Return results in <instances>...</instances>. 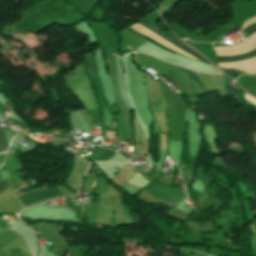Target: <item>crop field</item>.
Here are the masks:
<instances>
[{"mask_svg":"<svg viewBox=\"0 0 256 256\" xmlns=\"http://www.w3.org/2000/svg\"><path fill=\"white\" fill-rule=\"evenodd\" d=\"M140 24H142L144 27H146L147 29L151 30L153 33L157 34L158 36L162 37L163 39H165L166 41H168L169 43L183 49L184 51L192 54L194 57L198 58L200 61H204L206 63H209L205 58H203L200 54H198L197 52H195L194 50H192L191 48H189L188 46H186L185 44L181 43L180 41H178L177 39H175L174 37H172L171 35L159 30L158 28H156L154 25H152L150 22H148L146 19H143L139 22Z\"/></svg>","mask_w":256,"mask_h":256,"instance_id":"1","label":"crop field"},{"mask_svg":"<svg viewBox=\"0 0 256 256\" xmlns=\"http://www.w3.org/2000/svg\"><path fill=\"white\" fill-rule=\"evenodd\" d=\"M55 195H59V192L56 190V188H50L30 194H26L24 196L19 197V200L23 203V205H28L37 201H40L42 199L52 197Z\"/></svg>","mask_w":256,"mask_h":256,"instance_id":"2","label":"crop field"},{"mask_svg":"<svg viewBox=\"0 0 256 256\" xmlns=\"http://www.w3.org/2000/svg\"><path fill=\"white\" fill-rule=\"evenodd\" d=\"M243 31H244L245 33L249 34V35L252 34V33H254V32H256V24H253V25H251V26L246 27ZM255 35H256V33L253 34V35H251V36H249V38H250V37H253V36H255ZM254 56H256V51L250 52V53H248V54L236 56V57H217V61H218V62L234 61V60L245 59V58H250V57H254Z\"/></svg>","mask_w":256,"mask_h":256,"instance_id":"3","label":"crop field"},{"mask_svg":"<svg viewBox=\"0 0 256 256\" xmlns=\"http://www.w3.org/2000/svg\"><path fill=\"white\" fill-rule=\"evenodd\" d=\"M180 69L183 72V74L186 76L188 81H190L200 87H203L202 83L200 82V80L198 79V77L196 76V74L194 72H191V71H188V70H185L182 68H180Z\"/></svg>","mask_w":256,"mask_h":256,"instance_id":"4","label":"crop field"},{"mask_svg":"<svg viewBox=\"0 0 256 256\" xmlns=\"http://www.w3.org/2000/svg\"><path fill=\"white\" fill-rule=\"evenodd\" d=\"M7 150V141L5 132L0 131V152Z\"/></svg>","mask_w":256,"mask_h":256,"instance_id":"5","label":"crop field"},{"mask_svg":"<svg viewBox=\"0 0 256 256\" xmlns=\"http://www.w3.org/2000/svg\"><path fill=\"white\" fill-rule=\"evenodd\" d=\"M136 176L141 177V175L138 174V173L136 174ZM136 176L132 177L129 182L134 183V184H136V185H139V186H141V187H143L145 184L148 183V181H146V180H144V179H142V178L136 177Z\"/></svg>","mask_w":256,"mask_h":256,"instance_id":"6","label":"crop field"},{"mask_svg":"<svg viewBox=\"0 0 256 256\" xmlns=\"http://www.w3.org/2000/svg\"><path fill=\"white\" fill-rule=\"evenodd\" d=\"M154 108L156 112L165 111L163 98L154 101Z\"/></svg>","mask_w":256,"mask_h":256,"instance_id":"7","label":"crop field"},{"mask_svg":"<svg viewBox=\"0 0 256 256\" xmlns=\"http://www.w3.org/2000/svg\"><path fill=\"white\" fill-rule=\"evenodd\" d=\"M9 188H11L10 184H9V180H1L0 181V193H2L3 191H5Z\"/></svg>","mask_w":256,"mask_h":256,"instance_id":"8","label":"crop field"},{"mask_svg":"<svg viewBox=\"0 0 256 256\" xmlns=\"http://www.w3.org/2000/svg\"><path fill=\"white\" fill-rule=\"evenodd\" d=\"M10 256H23L22 249L7 250Z\"/></svg>","mask_w":256,"mask_h":256,"instance_id":"9","label":"crop field"},{"mask_svg":"<svg viewBox=\"0 0 256 256\" xmlns=\"http://www.w3.org/2000/svg\"><path fill=\"white\" fill-rule=\"evenodd\" d=\"M226 86H227L228 89L231 91V93H233L234 95L238 96V95L242 94L238 89H237V90H236L235 88L232 89L229 84H227ZM226 86H225V90H226L227 94H229L230 92H229V90L226 88Z\"/></svg>","mask_w":256,"mask_h":256,"instance_id":"10","label":"crop field"},{"mask_svg":"<svg viewBox=\"0 0 256 256\" xmlns=\"http://www.w3.org/2000/svg\"><path fill=\"white\" fill-rule=\"evenodd\" d=\"M226 73L232 75L233 77H237L240 73L236 72V71H230V70H225Z\"/></svg>","mask_w":256,"mask_h":256,"instance_id":"11","label":"crop field"},{"mask_svg":"<svg viewBox=\"0 0 256 256\" xmlns=\"http://www.w3.org/2000/svg\"><path fill=\"white\" fill-rule=\"evenodd\" d=\"M6 107H4L2 104H0V112L4 110Z\"/></svg>","mask_w":256,"mask_h":256,"instance_id":"12","label":"crop field"},{"mask_svg":"<svg viewBox=\"0 0 256 256\" xmlns=\"http://www.w3.org/2000/svg\"><path fill=\"white\" fill-rule=\"evenodd\" d=\"M126 46H128V45H126ZM129 48H131L130 46H128ZM131 49H133V48H131Z\"/></svg>","mask_w":256,"mask_h":256,"instance_id":"13","label":"crop field"},{"mask_svg":"<svg viewBox=\"0 0 256 256\" xmlns=\"http://www.w3.org/2000/svg\"><path fill=\"white\" fill-rule=\"evenodd\" d=\"M94 183H95V182H93V186H94ZM93 186H92V187H93Z\"/></svg>","mask_w":256,"mask_h":256,"instance_id":"14","label":"crop field"}]
</instances>
